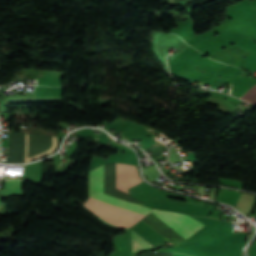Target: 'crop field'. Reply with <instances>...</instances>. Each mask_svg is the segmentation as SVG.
Returning <instances> with one entry per match:
<instances>
[{"mask_svg": "<svg viewBox=\"0 0 256 256\" xmlns=\"http://www.w3.org/2000/svg\"><path fill=\"white\" fill-rule=\"evenodd\" d=\"M152 213L180 235H182L184 238H188L205 225L189 216L181 215L178 213L160 210H155Z\"/></svg>", "mask_w": 256, "mask_h": 256, "instance_id": "2", "label": "crop field"}, {"mask_svg": "<svg viewBox=\"0 0 256 256\" xmlns=\"http://www.w3.org/2000/svg\"><path fill=\"white\" fill-rule=\"evenodd\" d=\"M242 99L247 100L252 103H256V85L253 86L243 97Z\"/></svg>", "mask_w": 256, "mask_h": 256, "instance_id": "5", "label": "crop field"}, {"mask_svg": "<svg viewBox=\"0 0 256 256\" xmlns=\"http://www.w3.org/2000/svg\"><path fill=\"white\" fill-rule=\"evenodd\" d=\"M104 165L90 171V197L104 201L122 208L135 211L140 214H148L152 209L142 207L127 201H123L103 194ZM89 198L84 206L97 213L107 221L122 227H132L144 215H140L116 206H112Z\"/></svg>", "mask_w": 256, "mask_h": 256, "instance_id": "1", "label": "crop field"}, {"mask_svg": "<svg viewBox=\"0 0 256 256\" xmlns=\"http://www.w3.org/2000/svg\"><path fill=\"white\" fill-rule=\"evenodd\" d=\"M25 180L5 179L4 189H0V195H24L22 185Z\"/></svg>", "mask_w": 256, "mask_h": 256, "instance_id": "3", "label": "crop field"}, {"mask_svg": "<svg viewBox=\"0 0 256 256\" xmlns=\"http://www.w3.org/2000/svg\"><path fill=\"white\" fill-rule=\"evenodd\" d=\"M173 256H187V255H184V254H173Z\"/></svg>", "mask_w": 256, "mask_h": 256, "instance_id": "6", "label": "crop field"}, {"mask_svg": "<svg viewBox=\"0 0 256 256\" xmlns=\"http://www.w3.org/2000/svg\"><path fill=\"white\" fill-rule=\"evenodd\" d=\"M133 235V253L138 254L143 251L154 249V247L147 242L144 238L138 235L133 229H131Z\"/></svg>", "mask_w": 256, "mask_h": 256, "instance_id": "4", "label": "crop field"}]
</instances>
